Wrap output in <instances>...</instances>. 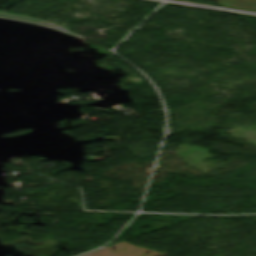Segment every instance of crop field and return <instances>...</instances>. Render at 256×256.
<instances>
[{
	"mask_svg": "<svg viewBox=\"0 0 256 256\" xmlns=\"http://www.w3.org/2000/svg\"><path fill=\"white\" fill-rule=\"evenodd\" d=\"M213 1L226 7L256 10V0H213Z\"/></svg>",
	"mask_w": 256,
	"mask_h": 256,
	"instance_id": "crop-field-1",
	"label": "crop field"
}]
</instances>
